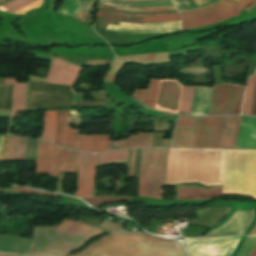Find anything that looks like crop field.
I'll return each mask as SVG.
<instances>
[{"instance_id":"38","label":"crop field","mask_w":256,"mask_h":256,"mask_svg":"<svg viewBox=\"0 0 256 256\" xmlns=\"http://www.w3.org/2000/svg\"><path fill=\"white\" fill-rule=\"evenodd\" d=\"M128 150H111L100 153L99 163L112 160H127Z\"/></svg>"},{"instance_id":"56","label":"crop field","mask_w":256,"mask_h":256,"mask_svg":"<svg viewBox=\"0 0 256 256\" xmlns=\"http://www.w3.org/2000/svg\"><path fill=\"white\" fill-rule=\"evenodd\" d=\"M83 9L79 6V8L77 9L76 13L74 14V17L79 18L81 13H82Z\"/></svg>"},{"instance_id":"23","label":"crop field","mask_w":256,"mask_h":256,"mask_svg":"<svg viewBox=\"0 0 256 256\" xmlns=\"http://www.w3.org/2000/svg\"><path fill=\"white\" fill-rule=\"evenodd\" d=\"M106 30L112 31V32H124V33H160V32L183 31L181 25L147 27V28H130V27H118V26H113L109 24L107 25Z\"/></svg>"},{"instance_id":"40","label":"crop field","mask_w":256,"mask_h":256,"mask_svg":"<svg viewBox=\"0 0 256 256\" xmlns=\"http://www.w3.org/2000/svg\"><path fill=\"white\" fill-rule=\"evenodd\" d=\"M126 65V63L122 62L121 60L115 58L114 62L112 63L110 69L106 73L102 82H109L115 83V78L118 72Z\"/></svg>"},{"instance_id":"10","label":"crop field","mask_w":256,"mask_h":256,"mask_svg":"<svg viewBox=\"0 0 256 256\" xmlns=\"http://www.w3.org/2000/svg\"><path fill=\"white\" fill-rule=\"evenodd\" d=\"M182 89L175 80H160L155 109L177 113Z\"/></svg>"},{"instance_id":"64","label":"crop field","mask_w":256,"mask_h":256,"mask_svg":"<svg viewBox=\"0 0 256 256\" xmlns=\"http://www.w3.org/2000/svg\"><path fill=\"white\" fill-rule=\"evenodd\" d=\"M0 86H12V85H0ZM1 111H7V110H1Z\"/></svg>"},{"instance_id":"47","label":"crop field","mask_w":256,"mask_h":256,"mask_svg":"<svg viewBox=\"0 0 256 256\" xmlns=\"http://www.w3.org/2000/svg\"><path fill=\"white\" fill-rule=\"evenodd\" d=\"M112 60L86 59L85 66H107Z\"/></svg>"},{"instance_id":"11","label":"crop field","mask_w":256,"mask_h":256,"mask_svg":"<svg viewBox=\"0 0 256 256\" xmlns=\"http://www.w3.org/2000/svg\"><path fill=\"white\" fill-rule=\"evenodd\" d=\"M97 155L79 152L76 196H91Z\"/></svg>"},{"instance_id":"16","label":"crop field","mask_w":256,"mask_h":256,"mask_svg":"<svg viewBox=\"0 0 256 256\" xmlns=\"http://www.w3.org/2000/svg\"><path fill=\"white\" fill-rule=\"evenodd\" d=\"M235 148L256 149V118L242 116Z\"/></svg>"},{"instance_id":"49","label":"crop field","mask_w":256,"mask_h":256,"mask_svg":"<svg viewBox=\"0 0 256 256\" xmlns=\"http://www.w3.org/2000/svg\"><path fill=\"white\" fill-rule=\"evenodd\" d=\"M173 24H181V23H180V21L168 22V23H149V24H127V23H122V22L119 23V25L137 26V27L158 26V25H173Z\"/></svg>"},{"instance_id":"30","label":"crop field","mask_w":256,"mask_h":256,"mask_svg":"<svg viewBox=\"0 0 256 256\" xmlns=\"http://www.w3.org/2000/svg\"><path fill=\"white\" fill-rule=\"evenodd\" d=\"M152 133H138L120 140V148L150 147Z\"/></svg>"},{"instance_id":"20","label":"crop field","mask_w":256,"mask_h":256,"mask_svg":"<svg viewBox=\"0 0 256 256\" xmlns=\"http://www.w3.org/2000/svg\"><path fill=\"white\" fill-rule=\"evenodd\" d=\"M111 135H82L80 150L98 152L110 149Z\"/></svg>"},{"instance_id":"24","label":"crop field","mask_w":256,"mask_h":256,"mask_svg":"<svg viewBox=\"0 0 256 256\" xmlns=\"http://www.w3.org/2000/svg\"><path fill=\"white\" fill-rule=\"evenodd\" d=\"M158 82L159 80L151 79L149 89L135 90L132 97L141 101L147 107L154 109Z\"/></svg>"},{"instance_id":"25","label":"crop field","mask_w":256,"mask_h":256,"mask_svg":"<svg viewBox=\"0 0 256 256\" xmlns=\"http://www.w3.org/2000/svg\"><path fill=\"white\" fill-rule=\"evenodd\" d=\"M4 84H14L13 103L10 116H15L16 110H23L26 84L16 83V79H6Z\"/></svg>"},{"instance_id":"62","label":"crop field","mask_w":256,"mask_h":256,"mask_svg":"<svg viewBox=\"0 0 256 256\" xmlns=\"http://www.w3.org/2000/svg\"><path fill=\"white\" fill-rule=\"evenodd\" d=\"M4 137H0V148Z\"/></svg>"},{"instance_id":"18","label":"crop field","mask_w":256,"mask_h":256,"mask_svg":"<svg viewBox=\"0 0 256 256\" xmlns=\"http://www.w3.org/2000/svg\"><path fill=\"white\" fill-rule=\"evenodd\" d=\"M241 116H224L218 148H234Z\"/></svg>"},{"instance_id":"31","label":"crop field","mask_w":256,"mask_h":256,"mask_svg":"<svg viewBox=\"0 0 256 256\" xmlns=\"http://www.w3.org/2000/svg\"><path fill=\"white\" fill-rule=\"evenodd\" d=\"M78 152L61 147L59 171H76Z\"/></svg>"},{"instance_id":"21","label":"crop field","mask_w":256,"mask_h":256,"mask_svg":"<svg viewBox=\"0 0 256 256\" xmlns=\"http://www.w3.org/2000/svg\"><path fill=\"white\" fill-rule=\"evenodd\" d=\"M213 88L196 87L191 115H207Z\"/></svg>"},{"instance_id":"3","label":"crop field","mask_w":256,"mask_h":256,"mask_svg":"<svg viewBox=\"0 0 256 256\" xmlns=\"http://www.w3.org/2000/svg\"><path fill=\"white\" fill-rule=\"evenodd\" d=\"M82 252L120 256H186L177 242L133 233L108 234Z\"/></svg>"},{"instance_id":"36","label":"crop field","mask_w":256,"mask_h":256,"mask_svg":"<svg viewBox=\"0 0 256 256\" xmlns=\"http://www.w3.org/2000/svg\"><path fill=\"white\" fill-rule=\"evenodd\" d=\"M56 1L57 0H50V3H49L50 10H54ZM78 6H79L78 0H65L63 5L57 10V12L65 16H73Z\"/></svg>"},{"instance_id":"29","label":"crop field","mask_w":256,"mask_h":256,"mask_svg":"<svg viewBox=\"0 0 256 256\" xmlns=\"http://www.w3.org/2000/svg\"><path fill=\"white\" fill-rule=\"evenodd\" d=\"M195 42H198V41L193 40V39L183 38V39H178V40L167 41V42H165V44H166L167 50H171V49H175L178 47L194 44ZM199 49H201V48H200L199 44L196 43L194 46H191V47L168 51V54H169V56H171V55H176V54L190 52V51L199 50Z\"/></svg>"},{"instance_id":"37","label":"crop field","mask_w":256,"mask_h":256,"mask_svg":"<svg viewBox=\"0 0 256 256\" xmlns=\"http://www.w3.org/2000/svg\"><path fill=\"white\" fill-rule=\"evenodd\" d=\"M95 30L102 37H104L108 43L121 44V45L129 44V35L108 33V32H106L102 29H99L97 27H95Z\"/></svg>"},{"instance_id":"58","label":"crop field","mask_w":256,"mask_h":256,"mask_svg":"<svg viewBox=\"0 0 256 256\" xmlns=\"http://www.w3.org/2000/svg\"><path fill=\"white\" fill-rule=\"evenodd\" d=\"M88 254L86 253H81V254H75V255H71V256H87Z\"/></svg>"},{"instance_id":"26","label":"crop field","mask_w":256,"mask_h":256,"mask_svg":"<svg viewBox=\"0 0 256 256\" xmlns=\"http://www.w3.org/2000/svg\"><path fill=\"white\" fill-rule=\"evenodd\" d=\"M121 58H123L129 62L143 64V65L170 63L167 52L127 56V57H121Z\"/></svg>"},{"instance_id":"2","label":"crop field","mask_w":256,"mask_h":256,"mask_svg":"<svg viewBox=\"0 0 256 256\" xmlns=\"http://www.w3.org/2000/svg\"><path fill=\"white\" fill-rule=\"evenodd\" d=\"M226 150L169 149L165 185H222Z\"/></svg>"},{"instance_id":"34","label":"crop field","mask_w":256,"mask_h":256,"mask_svg":"<svg viewBox=\"0 0 256 256\" xmlns=\"http://www.w3.org/2000/svg\"><path fill=\"white\" fill-rule=\"evenodd\" d=\"M56 120H57V134H56L55 143L60 145L62 127L71 128L70 111L57 110Z\"/></svg>"},{"instance_id":"57","label":"crop field","mask_w":256,"mask_h":256,"mask_svg":"<svg viewBox=\"0 0 256 256\" xmlns=\"http://www.w3.org/2000/svg\"><path fill=\"white\" fill-rule=\"evenodd\" d=\"M134 153H135V149H133V153H132V163H131V173H130V177H132V173H133Z\"/></svg>"},{"instance_id":"63","label":"crop field","mask_w":256,"mask_h":256,"mask_svg":"<svg viewBox=\"0 0 256 256\" xmlns=\"http://www.w3.org/2000/svg\"><path fill=\"white\" fill-rule=\"evenodd\" d=\"M234 1L236 4L239 3L241 0H231Z\"/></svg>"},{"instance_id":"52","label":"crop field","mask_w":256,"mask_h":256,"mask_svg":"<svg viewBox=\"0 0 256 256\" xmlns=\"http://www.w3.org/2000/svg\"><path fill=\"white\" fill-rule=\"evenodd\" d=\"M42 1H43V0H39V1H37V2H35V3H33V4H31V5H29V6L25 7V8H23V9H21V10L15 12V13L23 14V13H25V12L31 10V9H34V8L40 6L41 3H42Z\"/></svg>"},{"instance_id":"1","label":"crop field","mask_w":256,"mask_h":256,"mask_svg":"<svg viewBox=\"0 0 256 256\" xmlns=\"http://www.w3.org/2000/svg\"><path fill=\"white\" fill-rule=\"evenodd\" d=\"M253 1L254 0H242L240 4L235 5L234 3L228 0H225L218 4L210 5L198 10H191L187 12H181L178 14L184 30L199 28V27H204L209 24H213L228 18L238 16L239 15L238 13L240 12V10L246 7L247 5H249ZM99 3L118 5L122 7H132V8L174 5L172 0H153V1H135V2L119 1V0H100ZM255 4H256V0L252 5H255ZM97 17L115 20V21H124V22H160V21L179 20L177 14L129 16V15H118V14L104 12L100 10H98Z\"/></svg>"},{"instance_id":"48","label":"crop field","mask_w":256,"mask_h":256,"mask_svg":"<svg viewBox=\"0 0 256 256\" xmlns=\"http://www.w3.org/2000/svg\"><path fill=\"white\" fill-rule=\"evenodd\" d=\"M10 138H11V135H5L2 148H1V153H0V161H5L7 150L10 143Z\"/></svg>"},{"instance_id":"55","label":"crop field","mask_w":256,"mask_h":256,"mask_svg":"<svg viewBox=\"0 0 256 256\" xmlns=\"http://www.w3.org/2000/svg\"><path fill=\"white\" fill-rule=\"evenodd\" d=\"M28 85L29 83H27V88H26V99H25V109L24 111L26 110V102H27V96H28ZM73 90V107H74V96H75V91L73 88H71Z\"/></svg>"},{"instance_id":"28","label":"crop field","mask_w":256,"mask_h":256,"mask_svg":"<svg viewBox=\"0 0 256 256\" xmlns=\"http://www.w3.org/2000/svg\"><path fill=\"white\" fill-rule=\"evenodd\" d=\"M56 134L55 111L44 112L41 140L53 142Z\"/></svg>"},{"instance_id":"9","label":"crop field","mask_w":256,"mask_h":256,"mask_svg":"<svg viewBox=\"0 0 256 256\" xmlns=\"http://www.w3.org/2000/svg\"><path fill=\"white\" fill-rule=\"evenodd\" d=\"M222 118H197L191 147L217 148Z\"/></svg>"},{"instance_id":"8","label":"crop field","mask_w":256,"mask_h":256,"mask_svg":"<svg viewBox=\"0 0 256 256\" xmlns=\"http://www.w3.org/2000/svg\"><path fill=\"white\" fill-rule=\"evenodd\" d=\"M247 151L227 150L223 192L242 193Z\"/></svg>"},{"instance_id":"6","label":"crop field","mask_w":256,"mask_h":256,"mask_svg":"<svg viewBox=\"0 0 256 256\" xmlns=\"http://www.w3.org/2000/svg\"><path fill=\"white\" fill-rule=\"evenodd\" d=\"M244 91L240 86L215 87L208 115L240 114Z\"/></svg>"},{"instance_id":"65","label":"crop field","mask_w":256,"mask_h":256,"mask_svg":"<svg viewBox=\"0 0 256 256\" xmlns=\"http://www.w3.org/2000/svg\"><path fill=\"white\" fill-rule=\"evenodd\" d=\"M88 256H99V255H92V254H89Z\"/></svg>"},{"instance_id":"15","label":"crop field","mask_w":256,"mask_h":256,"mask_svg":"<svg viewBox=\"0 0 256 256\" xmlns=\"http://www.w3.org/2000/svg\"><path fill=\"white\" fill-rule=\"evenodd\" d=\"M84 238L92 239L100 234L108 233L93 226L82 224L72 220H63L56 227H44Z\"/></svg>"},{"instance_id":"45","label":"crop field","mask_w":256,"mask_h":256,"mask_svg":"<svg viewBox=\"0 0 256 256\" xmlns=\"http://www.w3.org/2000/svg\"><path fill=\"white\" fill-rule=\"evenodd\" d=\"M89 202L93 206H97L104 203L121 201V200H131V197H124V198H82Z\"/></svg>"},{"instance_id":"59","label":"crop field","mask_w":256,"mask_h":256,"mask_svg":"<svg viewBox=\"0 0 256 256\" xmlns=\"http://www.w3.org/2000/svg\"><path fill=\"white\" fill-rule=\"evenodd\" d=\"M250 256H256V246H255V248H254V250H253V252Z\"/></svg>"},{"instance_id":"60","label":"crop field","mask_w":256,"mask_h":256,"mask_svg":"<svg viewBox=\"0 0 256 256\" xmlns=\"http://www.w3.org/2000/svg\"><path fill=\"white\" fill-rule=\"evenodd\" d=\"M250 234H256V225H255V227L253 228V230L251 231Z\"/></svg>"},{"instance_id":"17","label":"crop field","mask_w":256,"mask_h":256,"mask_svg":"<svg viewBox=\"0 0 256 256\" xmlns=\"http://www.w3.org/2000/svg\"><path fill=\"white\" fill-rule=\"evenodd\" d=\"M196 118L179 116L174 131L173 147H190Z\"/></svg>"},{"instance_id":"33","label":"crop field","mask_w":256,"mask_h":256,"mask_svg":"<svg viewBox=\"0 0 256 256\" xmlns=\"http://www.w3.org/2000/svg\"><path fill=\"white\" fill-rule=\"evenodd\" d=\"M81 130L63 128L61 145L79 150Z\"/></svg>"},{"instance_id":"53","label":"crop field","mask_w":256,"mask_h":256,"mask_svg":"<svg viewBox=\"0 0 256 256\" xmlns=\"http://www.w3.org/2000/svg\"><path fill=\"white\" fill-rule=\"evenodd\" d=\"M16 190H18V191H22V192L42 193V194H46V195H50V196L57 197V195H56V194H51V193L42 192V191H36V190H30V189H24V188H18V187H16Z\"/></svg>"},{"instance_id":"39","label":"crop field","mask_w":256,"mask_h":256,"mask_svg":"<svg viewBox=\"0 0 256 256\" xmlns=\"http://www.w3.org/2000/svg\"><path fill=\"white\" fill-rule=\"evenodd\" d=\"M255 81H256V75L249 78L242 114L249 115L250 113Z\"/></svg>"},{"instance_id":"13","label":"crop field","mask_w":256,"mask_h":256,"mask_svg":"<svg viewBox=\"0 0 256 256\" xmlns=\"http://www.w3.org/2000/svg\"><path fill=\"white\" fill-rule=\"evenodd\" d=\"M81 67L56 59L45 82L74 86Z\"/></svg>"},{"instance_id":"50","label":"crop field","mask_w":256,"mask_h":256,"mask_svg":"<svg viewBox=\"0 0 256 256\" xmlns=\"http://www.w3.org/2000/svg\"><path fill=\"white\" fill-rule=\"evenodd\" d=\"M101 227L106 228L108 230L112 231H124L120 225H117L113 223V221L105 219V221L102 223Z\"/></svg>"},{"instance_id":"5","label":"crop field","mask_w":256,"mask_h":256,"mask_svg":"<svg viewBox=\"0 0 256 256\" xmlns=\"http://www.w3.org/2000/svg\"><path fill=\"white\" fill-rule=\"evenodd\" d=\"M88 239L35 227L31 246L26 255H64L83 246L90 241Z\"/></svg>"},{"instance_id":"7","label":"crop field","mask_w":256,"mask_h":256,"mask_svg":"<svg viewBox=\"0 0 256 256\" xmlns=\"http://www.w3.org/2000/svg\"><path fill=\"white\" fill-rule=\"evenodd\" d=\"M241 237H222L208 239L185 238L191 256H230Z\"/></svg>"},{"instance_id":"66","label":"crop field","mask_w":256,"mask_h":256,"mask_svg":"<svg viewBox=\"0 0 256 256\" xmlns=\"http://www.w3.org/2000/svg\"><path fill=\"white\" fill-rule=\"evenodd\" d=\"M3 1V0H0V2Z\"/></svg>"},{"instance_id":"61","label":"crop field","mask_w":256,"mask_h":256,"mask_svg":"<svg viewBox=\"0 0 256 256\" xmlns=\"http://www.w3.org/2000/svg\"><path fill=\"white\" fill-rule=\"evenodd\" d=\"M0 256H16V255H10V254H3V253H0Z\"/></svg>"},{"instance_id":"22","label":"crop field","mask_w":256,"mask_h":256,"mask_svg":"<svg viewBox=\"0 0 256 256\" xmlns=\"http://www.w3.org/2000/svg\"><path fill=\"white\" fill-rule=\"evenodd\" d=\"M29 239L20 237H8L0 236V251L2 252H12L17 254H26L29 245Z\"/></svg>"},{"instance_id":"46","label":"crop field","mask_w":256,"mask_h":256,"mask_svg":"<svg viewBox=\"0 0 256 256\" xmlns=\"http://www.w3.org/2000/svg\"><path fill=\"white\" fill-rule=\"evenodd\" d=\"M214 78V86L222 83V66L211 68ZM213 86V87H214Z\"/></svg>"},{"instance_id":"41","label":"crop field","mask_w":256,"mask_h":256,"mask_svg":"<svg viewBox=\"0 0 256 256\" xmlns=\"http://www.w3.org/2000/svg\"><path fill=\"white\" fill-rule=\"evenodd\" d=\"M37 0H13L11 2H8L2 6H0L1 10L13 13Z\"/></svg>"},{"instance_id":"19","label":"crop field","mask_w":256,"mask_h":256,"mask_svg":"<svg viewBox=\"0 0 256 256\" xmlns=\"http://www.w3.org/2000/svg\"><path fill=\"white\" fill-rule=\"evenodd\" d=\"M243 195L256 197V151H248Z\"/></svg>"},{"instance_id":"35","label":"crop field","mask_w":256,"mask_h":256,"mask_svg":"<svg viewBox=\"0 0 256 256\" xmlns=\"http://www.w3.org/2000/svg\"><path fill=\"white\" fill-rule=\"evenodd\" d=\"M194 89L195 87H184L178 113L190 115Z\"/></svg>"},{"instance_id":"42","label":"crop field","mask_w":256,"mask_h":256,"mask_svg":"<svg viewBox=\"0 0 256 256\" xmlns=\"http://www.w3.org/2000/svg\"><path fill=\"white\" fill-rule=\"evenodd\" d=\"M38 140L30 139L28 140L26 152H25V158L24 161H35L36 154H37V148H38Z\"/></svg>"},{"instance_id":"32","label":"crop field","mask_w":256,"mask_h":256,"mask_svg":"<svg viewBox=\"0 0 256 256\" xmlns=\"http://www.w3.org/2000/svg\"><path fill=\"white\" fill-rule=\"evenodd\" d=\"M27 139L12 135L6 160H23Z\"/></svg>"},{"instance_id":"12","label":"crop field","mask_w":256,"mask_h":256,"mask_svg":"<svg viewBox=\"0 0 256 256\" xmlns=\"http://www.w3.org/2000/svg\"><path fill=\"white\" fill-rule=\"evenodd\" d=\"M59 151V146L40 141L35 174H49L51 177H57Z\"/></svg>"},{"instance_id":"51","label":"crop field","mask_w":256,"mask_h":256,"mask_svg":"<svg viewBox=\"0 0 256 256\" xmlns=\"http://www.w3.org/2000/svg\"><path fill=\"white\" fill-rule=\"evenodd\" d=\"M80 1L84 8L94 12V4L96 0H80Z\"/></svg>"},{"instance_id":"44","label":"crop field","mask_w":256,"mask_h":256,"mask_svg":"<svg viewBox=\"0 0 256 256\" xmlns=\"http://www.w3.org/2000/svg\"><path fill=\"white\" fill-rule=\"evenodd\" d=\"M99 6L109 8V9L126 10V11H166V10L176 9L175 6L145 8V9L120 8V7H116V6L102 5V4H99Z\"/></svg>"},{"instance_id":"43","label":"crop field","mask_w":256,"mask_h":256,"mask_svg":"<svg viewBox=\"0 0 256 256\" xmlns=\"http://www.w3.org/2000/svg\"><path fill=\"white\" fill-rule=\"evenodd\" d=\"M255 244H256V235L248 236L237 256H249Z\"/></svg>"},{"instance_id":"54","label":"crop field","mask_w":256,"mask_h":256,"mask_svg":"<svg viewBox=\"0 0 256 256\" xmlns=\"http://www.w3.org/2000/svg\"><path fill=\"white\" fill-rule=\"evenodd\" d=\"M255 108H256V87H255V92H254V97H253V102H252V108H251L250 115H254Z\"/></svg>"},{"instance_id":"14","label":"crop field","mask_w":256,"mask_h":256,"mask_svg":"<svg viewBox=\"0 0 256 256\" xmlns=\"http://www.w3.org/2000/svg\"><path fill=\"white\" fill-rule=\"evenodd\" d=\"M255 212H256V209L235 212L227 223H225L223 226H221L220 228H218L216 230L210 231L205 237L243 235L244 232L249 227ZM245 213H249V215L245 214ZM240 214H245V215H241L240 218L238 219ZM247 215H248V219H247ZM246 219H247V221H246ZM236 220H237V222H236ZM245 221H246V223H245ZM244 223H245V225H244ZM241 227H242V229H241ZM229 228H230L229 231L240 230V229L241 230L234 231V232H227Z\"/></svg>"},{"instance_id":"27","label":"crop field","mask_w":256,"mask_h":256,"mask_svg":"<svg viewBox=\"0 0 256 256\" xmlns=\"http://www.w3.org/2000/svg\"><path fill=\"white\" fill-rule=\"evenodd\" d=\"M221 195V188L212 190L179 188V199H207Z\"/></svg>"},{"instance_id":"4","label":"crop field","mask_w":256,"mask_h":256,"mask_svg":"<svg viewBox=\"0 0 256 256\" xmlns=\"http://www.w3.org/2000/svg\"><path fill=\"white\" fill-rule=\"evenodd\" d=\"M167 149H143L137 195L162 198Z\"/></svg>"}]
</instances>
